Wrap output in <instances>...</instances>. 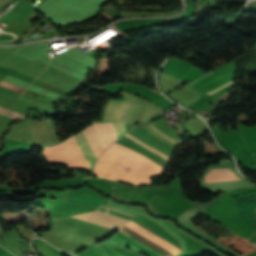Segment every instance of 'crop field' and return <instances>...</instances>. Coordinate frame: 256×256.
<instances>
[{
	"label": "crop field",
	"mask_w": 256,
	"mask_h": 256,
	"mask_svg": "<svg viewBox=\"0 0 256 256\" xmlns=\"http://www.w3.org/2000/svg\"><path fill=\"white\" fill-rule=\"evenodd\" d=\"M102 207H105V208H108V209H111L114 211H118V210H115V209H112V208H109L106 206H102ZM102 207H100L97 211L86 213V214L76 215V216H73L70 218L78 219L81 221H85V222H89V223H93L96 225H100V226H104L107 228L117 230L118 228L123 226L125 223L131 221L133 219V217H135V216L130 217L132 215L127 216L129 214L124 215L126 213L121 212V211H118V212H121L124 214L117 213V212H114V211H111V210H108V209H105Z\"/></svg>",
	"instance_id": "f4fd0767"
},
{
	"label": "crop field",
	"mask_w": 256,
	"mask_h": 256,
	"mask_svg": "<svg viewBox=\"0 0 256 256\" xmlns=\"http://www.w3.org/2000/svg\"><path fill=\"white\" fill-rule=\"evenodd\" d=\"M71 163L84 162L81 154L79 153L72 137L66 142L62 143ZM62 145L52 148H46L43 152V157L50 163V165L68 164L70 170L87 168L85 163L71 164Z\"/></svg>",
	"instance_id": "412701ff"
},
{
	"label": "crop field",
	"mask_w": 256,
	"mask_h": 256,
	"mask_svg": "<svg viewBox=\"0 0 256 256\" xmlns=\"http://www.w3.org/2000/svg\"><path fill=\"white\" fill-rule=\"evenodd\" d=\"M148 126H150L154 131H156L158 134H160V135H162V136H164V137H166V138H168V139H170V140H172V141H174V142H178V141H176V140H174L173 138H171V137H169V136H167L166 134H164V133H162L161 131H159L157 128H155L153 125H151V124H148Z\"/></svg>",
	"instance_id": "d1516ede"
},
{
	"label": "crop field",
	"mask_w": 256,
	"mask_h": 256,
	"mask_svg": "<svg viewBox=\"0 0 256 256\" xmlns=\"http://www.w3.org/2000/svg\"><path fill=\"white\" fill-rule=\"evenodd\" d=\"M241 197L235 199L234 202ZM255 209L256 199L244 196L235 202L236 217L256 228Z\"/></svg>",
	"instance_id": "e52e79f7"
},
{
	"label": "crop field",
	"mask_w": 256,
	"mask_h": 256,
	"mask_svg": "<svg viewBox=\"0 0 256 256\" xmlns=\"http://www.w3.org/2000/svg\"><path fill=\"white\" fill-rule=\"evenodd\" d=\"M136 102L137 101L135 100H123L121 103V101L112 100L107 109V112L105 114V117L102 123L115 121V117L119 109L120 103H121V106L118 111L115 122H129Z\"/></svg>",
	"instance_id": "dd49c442"
},
{
	"label": "crop field",
	"mask_w": 256,
	"mask_h": 256,
	"mask_svg": "<svg viewBox=\"0 0 256 256\" xmlns=\"http://www.w3.org/2000/svg\"><path fill=\"white\" fill-rule=\"evenodd\" d=\"M103 155L149 177L160 175L165 170L149 159L116 143L107 148ZM103 155L100 156L94 166V172L97 176L106 177L109 180L121 181L133 185L152 184L149 177Z\"/></svg>",
	"instance_id": "8a807250"
},
{
	"label": "crop field",
	"mask_w": 256,
	"mask_h": 256,
	"mask_svg": "<svg viewBox=\"0 0 256 256\" xmlns=\"http://www.w3.org/2000/svg\"><path fill=\"white\" fill-rule=\"evenodd\" d=\"M0 86L9 88V89H11V90H14V91L20 92V93H22V92L25 90V88H22V87H19V86H15V85L6 83V82H4V81H2V82L0 83Z\"/></svg>",
	"instance_id": "5a996713"
},
{
	"label": "crop field",
	"mask_w": 256,
	"mask_h": 256,
	"mask_svg": "<svg viewBox=\"0 0 256 256\" xmlns=\"http://www.w3.org/2000/svg\"><path fill=\"white\" fill-rule=\"evenodd\" d=\"M232 83H234V81H232V82H230V83H228V84H226V85H224V86L220 87L219 89H217V90H215V91H213V92L209 93L208 95H210V96H211V95H213V94L217 93L218 91L222 90L223 88H225V87L229 86V85H230V84H232Z\"/></svg>",
	"instance_id": "22f410ed"
},
{
	"label": "crop field",
	"mask_w": 256,
	"mask_h": 256,
	"mask_svg": "<svg viewBox=\"0 0 256 256\" xmlns=\"http://www.w3.org/2000/svg\"><path fill=\"white\" fill-rule=\"evenodd\" d=\"M132 232L138 234L139 236L147 239L148 241L156 244L157 246L163 248L164 250L172 253L173 255L181 253V249L175 247L174 245L170 244L169 242L163 240L162 238L156 236L155 234L151 233L150 231L144 229L143 227L139 226L134 222H129L125 226H123ZM121 227L119 230L130 236L131 238L135 239L136 241L140 242L141 244L155 250L156 252L160 253L163 256H172V254L164 251L163 249L157 247L156 245L148 242L147 240L139 237L138 235L132 233L131 231Z\"/></svg>",
	"instance_id": "34b2d1b8"
},
{
	"label": "crop field",
	"mask_w": 256,
	"mask_h": 256,
	"mask_svg": "<svg viewBox=\"0 0 256 256\" xmlns=\"http://www.w3.org/2000/svg\"><path fill=\"white\" fill-rule=\"evenodd\" d=\"M5 115L10 116V117H12V118H15V119H17V120H22V119H24V116H21V115H19V114L13 113V112H11V111H9V110L5 113Z\"/></svg>",
	"instance_id": "28ad6ade"
},
{
	"label": "crop field",
	"mask_w": 256,
	"mask_h": 256,
	"mask_svg": "<svg viewBox=\"0 0 256 256\" xmlns=\"http://www.w3.org/2000/svg\"><path fill=\"white\" fill-rule=\"evenodd\" d=\"M42 30V28H39V30L38 31H41ZM39 34H41V33H39V32H37V31H35V32H33V33H31V35H32V37H34V36H37V35H39ZM27 36H30V34L29 35H27ZM40 36H43V35H40ZM40 36H38V37H40ZM31 37V36H30ZM30 37H26V36H24V37H22V40H21V42H23V41H27V40H31V38ZM35 38H37V37H35ZM34 38V39H35Z\"/></svg>",
	"instance_id": "3316defc"
},
{
	"label": "crop field",
	"mask_w": 256,
	"mask_h": 256,
	"mask_svg": "<svg viewBox=\"0 0 256 256\" xmlns=\"http://www.w3.org/2000/svg\"><path fill=\"white\" fill-rule=\"evenodd\" d=\"M6 111V109L0 107V113L3 114Z\"/></svg>",
	"instance_id": "cbeb9de0"
},
{
	"label": "crop field",
	"mask_w": 256,
	"mask_h": 256,
	"mask_svg": "<svg viewBox=\"0 0 256 256\" xmlns=\"http://www.w3.org/2000/svg\"><path fill=\"white\" fill-rule=\"evenodd\" d=\"M125 135H127V136H129V137H131V138H133V139H135V140L141 142L142 144H144V145H146V146H148V147H150V148L156 150L157 152L163 154L164 156H166V157H168V158H170V159H171V157H172V156H170V155H168V154L162 152L161 150H159V149H157V148L151 146L150 144H148V143H146V142L140 140L139 138H137V137H135V136L129 134L128 132H127ZM116 143L122 144V145H124V146H126V147H128V148H130V149H132V150H134V151H136V152H138V153H140V154H142V155H144V156L150 158V159H152L154 162L160 164V165H161L162 167H164V168H166V166H167V165H165L164 163H162V162L158 161L157 159L153 158L152 156H150V155H148V154H146V153H144V152H142V151H140V150H138V149H136V148H134V147H132V146H130V145H128V144L122 142V141H120V140L116 141Z\"/></svg>",
	"instance_id": "d8731c3e"
},
{
	"label": "crop field",
	"mask_w": 256,
	"mask_h": 256,
	"mask_svg": "<svg viewBox=\"0 0 256 256\" xmlns=\"http://www.w3.org/2000/svg\"><path fill=\"white\" fill-rule=\"evenodd\" d=\"M117 137H120L126 132L125 125L124 124H113ZM112 124H104V125H96L94 126L99 138L104 146L106 148L108 145H110L112 142H114L117 137L114 131ZM73 139L80 150L85 162L87 163L89 168H92L95 157L92 154L91 150L89 149L87 143L85 142L84 138L82 137L81 133L73 136Z\"/></svg>",
	"instance_id": "ac0d7876"
}]
</instances>
